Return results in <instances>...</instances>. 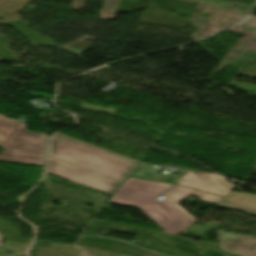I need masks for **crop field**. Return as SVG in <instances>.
<instances>
[{
  "instance_id": "obj_3",
  "label": "crop field",
  "mask_w": 256,
  "mask_h": 256,
  "mask_svg": "<svg viewBox=\"0 0 256 256\" xmlns=\"http://www.w3.org/2000/svg\"><path fill=\"white\" fill-rule=\"evenodd\" d=\"M47 134L29 132L25 123L0 115V161L44 165Z\"/></svg>"
},
{
  "instance_id": "obj_4",
  "label": "crop field",
  "mask_w": 256,
  "mask_h": 256,
  "mask_svg": "<svg viewBox=\"0 0 256 256\" xmlns=\"http://www.w3.org/2000/svg\"><path fill=\"white\" fill-rule=\"evenodd\" d=\"M47 173L112 196L123 183L49 157Z\"/></svg>"
},
{
  "instance_id": "obj_2",
  "label": "crop field",
  "mask_w": 256,
  "mask_h": 256,
  "mask_svg": "<svg viewBox=\"0 0 256 256\" xmlns=\"http://www.w3.org/2000/svg\"><path fill=\"white\" fill-rule=\"evenodd\" d=\"M49 156L122 181L139 163L60 134L50 140Z\"/></svg>"
},
{
  "instance_id": "obj_9",
  "label": "crop field",
  "mask_w": 256,
  "mask_h": 256,
  "mask_svg": "<svg viewBox=\"0 0 256 256\" xmlns=\"http://www.w3.org/2000/svg\"><path fill=\"white\" fill-rule=\"evenodd\" d=\"M0 246H2L1 234H0Z\"/></svg>"
},
{
  "instance_id": "obj_10",
  "label": "crop field",
  "mask_w": 256,
  "mask_h": 256,
  "mask_svg": "<svg viewBox=\"0 0 256 256\" xmlns=\"http://www.w3.org/2000/svg\"><path fill=\"white\" fill-rule=\"evenodd\" d=\"M256 170V169H255Z\"/></svg>"
},
{
  "instance_id": "obj_5",
  "label": "crop field",
  "mask_w": 256,
  "mask_h": 256,
  "mask_svg": "<svg viewBox=\"0 0 256 256\" xmlns=\"http://www.w3.org/2000/svg\"><path fill=\"white\" fill-rule=\"evenodd\" d=\"M224 180L225 178L219 175L204 173L199 176L189 171L178 184L225 196L235 186Z\"/></svg>"
},
{
  "instance_id": "obj_1",
  "label": "crop field",
  "mask_w": 256,
  "mask_h": 256,
  "mask_svg": "<svg viewBox=\"0 0 256 256\" xmlns=\"http://www.w3.org/2000/svg\"><path fill=\"white\" fill-rule=\"evenodd\" d=\"M172 186L129 177L110 202L137 207L167 233L180 234L197 221L178 205L186 197L191 195L213 203L224 198L176 185L163 195V200L156 199Z\"/></svg>"
},
{
  "instance_id": "obj_6",
  "label": "crop field",
  "mask_w": 256,
  "mask_h": 256,
  "mask_svg": "<svg viewBox=\"0 0 256 256\" xmlns=\"http://www.w3.org/2000/svg\"><path fill=\"white\" fill-rule=\"evenodd\" d=\"M220 249L222 251L244 256L256 245V238L219 231Z\"/></svg>"
},
{
  "instance_id": "obj_7",
  "label": "crop field",
  "mask_w": 256,
  "mask_h": 256,
  "mask_svg": "<svg viewBox=\"0 0 256 256\" xmlns=\"http://www.w3.org/2000/svg\"><path fill=\"white\" fill-rule=\"evenodd\" d=\"M219 204L247 210L251 214L256 215V197H252L237 192H232L222 201H220Z\"/></svg>"
},
{
  "instance_id": "obj_8",
  "label": "crop field",
  "mask_w": 256,
  "mask_h": 256,
  "mask_svg": "<svg viewBox=\"0 0 256 256\" xmlns=\"http://www.w3.org/2000/svg\"><path fill=\"white\" fill-rule=\"evenodd\" d=\"M246 256H256V246Z\"/></svg>"
}]
</instances>
